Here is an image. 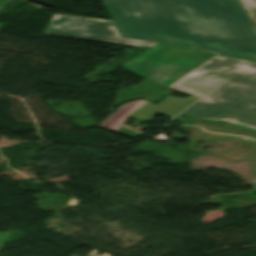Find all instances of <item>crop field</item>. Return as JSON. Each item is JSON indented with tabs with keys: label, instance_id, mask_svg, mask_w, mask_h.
<instances>
[{
	"label": "crop field",
	"instance_id": "obj_1",
	"mask_svg": "<svg viewBox=\"0 0 256 256\" xmlns=\"http://www.w3.org/2000/svg\"><path fill=\"white\" fill-rule=\"evenodd\" d=\"M122 37L256 61V30L240 0H103Z\"/></svg>",
	"mask_w": 256,
	"mask_h": 256
},
{
	"label": "crop field",
	"instance_id": "obj_2",
	"mask_svg": "<svg viewBox=\"0 0 256 256\" xmlns=\"http://www.w3.org/2000/svg\"><path fill=\"white\" fill-rule=\"evenodd\" d=\"M172 87L202 96L181 116L230 121L256 129V63L217 55Z\"/></svg>",
	"mask_w": 256,
	"mask_h": 256
},
{
	"label": "crop field",
	"instance_id": "obj_3",
	"mask_svg": "<svg viewBox=\"0 0 256 256\" xmlns=\"http://www.w3.org/2000/svg\"><path fill=\"white\" fill-rule=\"evenodd\" d=\"M212 55L157 43L122 67L143 79L169 85Z\"/></svg>",
	"mask_w": 256,
	"mask_h": 256
},
{
	"label": "crop field",
	"instance_id": "obj_4",
	"mask_svg": "<svg viewBox=\"0 0 256 256\" xmlns=\"http://www.w3.org/2000/svg\"><path fill=\"white\" fill-rule=\"evenodd\" d=\"M43 34L151 47L157 42L120 38L112 21L54 14Z\"/></svg>",
	"mask_w": 256,
	"mask_h": 256
},
{
	"label": "crop field",
	"instance_id": "obj_5",
	"mask_svg": "<svg viewBox=\"0 0 256 256\" xmlns=\"http://www.w3.org/2000/svg\"><path fill=\"white\" fill-rule=\"evenodd\" d=\"M197 99L198 97L194 96L187 100L168 96L157 106L141 100L134 101L122 105L100 124L99 127L136 138L143 134L121 128L130 117L148 122H150L157 114L173 117Z\"/></svg>",
	"mask_w": 256,
	"mask_h": 256
},
{
	"label": "crop field",
	"instance_id": "obj_6",
	"mask_svg": "<svg viewBox=\"0 0 256 256\" xmlns=\"http://www.w3.org/2000/svg\"><path fill=\"white\" fill-rule=\"evenodd\" d=\"M256 28V0H241Z\"/></svg>",
	"mask_w": 256,
	"mask_h": 256
}]
</instances>
